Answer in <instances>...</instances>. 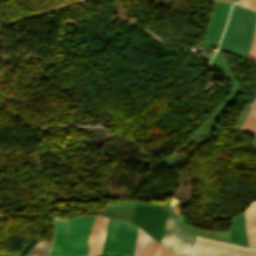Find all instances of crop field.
Listing matches in <instances>:
<instances>
[{
    "label": "crop field",
    "instance_id": "crop-field-1",
    "mask_svg": "<svg viewBox=\"0 0 256 256\" xmlns=\"http://www.w3.org/2000/svg\"><path fill=\"white\" fill-rule=\"evenodd\" d=\"M95 216L55 218L49 256H86Z\"/></svg>",
    "mask_w": 256,
    "mask_h": 256
},
{
    "label": "crop field",
    "instance_id": "crop-field-2",
    "mask_svg": "<svg viewBox=\"0 0 256 256\" xmlns=\"http://www.w3.org/2000/svg\"><path fill=\"white\" fill-rule=\"evenodd\" d=\"M255 23L256 12L234 4L219 49L247 58Z\"/></svg>",
    "mask_w": 256,
    "mask_h": 256
},
{
    "label": "crop field",
    "instance_id": "crop-field-3",
    "mask_svg": "<svg viewBox=\"0 0 256 256\" xmlns=\"http://www.w3.org/2000/svg\"><path fill=\"white\" fill-rule=\"evenodd\" d=\"M138 230L136 225L109 218L100 256H133Z\"/></svg>",
    "mask_w": 256,
    "mask_h": 256
},
{
    "label": "crop field",
    "instance_id": "crop-field-4",
    "mask_svg": "<svg viewBox=\"0 0 256 256\" xmlns=\"http://www.w3.org/2000/svg\"><path fill=\"white\" fill-rule=\"evenodd\" d=\"M191 256H256V247L246 248L196 236Z\"/></svg>",
    "mask_w": 256,
    "mask_h": 256
},
{
    "label": "crop field",
    "instance_id": "crop-field-5",
    "mask_svg": "<svg viewBox=\"0 0 256 256\" xmlns=\"http://www.w3.org/2000/svg\"><path fill=\"white\" fill-rule=\"evenodd\" d=\"M194 237L168 214L160 241L161 244L176 255L190 256Z\"/></svg>",
    "mask_w": 256,
    "mask_h": 256
},
{
    "label": "crop field",
    "instance_id": "crop-field-6",
    "mask_svg": "<svg viewBox=\"0 0 256 256\" xmlns=\"http://www.w3.org/2000/svg\"><path fill=\"white\" fill-rule=\"evenodd\" d=\"M230 3L214 1L212 13L207 27L204 40L219 41L225 22L227 20L230 8Z\"/></svg>",
    "mask_w": 256,
    "mask_h": 256
},
{
    "label": "crop field",
    "instance_id": "crop-field-7",
    "mask_svg": "<svg viewBox=\"0 0 256 256\" xmlns=\"http://www.w3.org/2000/svg\"><path fill=\"white\" fill-rule=\"evenodd\" d=\"M230 236L231 241L247 245L244 213L233 218Z\"/></svg>",
    "mask_w": 256,
    "mask_h": 256
},
{
    "label": "crop field",
    "instance_id": "crop-field-8",
    "mask_svg": "<svg viewBox=\"0 0 256 256\" xmlns=\"http://www.w3.org/2000/svg\"><path fill=\"white\" fill-rule=\"evenodd\" d=\"M155 240L139 230L134 256H152Z\"/></svg>",
    "mask_w": 256,
    "mask_h": 256
},
{
    "label": "crop field",
    "instance_id": "crop-field-9",
    "mask_svg": "<svg viewBox=\"0 0 256 256\" xmlns=\"http://www.w3.org/2000/svg\"><path fill=\"white\" fill-rule=\"evenodd\" d=\"M249 244H256V202L246 210Z\"/></svg>",
    "mask_w": 256,
    "mask_h": 256
},
{
    "label": "crop field",
    "instance_id": "crop-field-10",
    "mask_svg": "<svg viewBox=\"0 0 256 256\" xmlns=\"http://www.w3.org/2000/svg\"><path fill=\"white\" fill-rule=\"evenodd\" d=\"M240 129L256 133V99L251 104V107Z\"/></svg>",
    "mask_w": 256,
    "mask_h": 256
},
{
    "label": "crop field",
    "instance_id": "crop-field-11",
    "mask_svg": "<svg viewBox=\"0 0 256 256\" xmlns=\"http://www.w3.org/2000/svg\"><path fill=\"white\" fill-rule=\"evenodd\" d=\"M51 241H41L37 243L27 255H47Z\"/></svg>",
    "mask_w": 256,
    "mask_h": 256
},
{
    "label": "crop field",
    "instance_id": "crop-field-12",
    "mask_svg": "<svg viewBox=\"0 0 256 256\" xmlns=\"http://www.w3.org/2000/svg\"><path fill=\"white\" fill-rule=\"evenodd\" d=\"M153 256H174L164 247H162L159 243H155Z\"/></svg>",
    "mask_w": 256,
    "mask_h": 256
},
{
    "label": "crop field",
    "instance_id": "crop-field-13",
    "mask_svg": "<svg viewBox=\"0 0 256 256\" xmlns=\"http://www.w3.org/2000/svg\"><path fill=\"white\" fill-rule=\"evenodd\" d=\"M248 59L256 60V27Z\"/></svg>",
    "mask_w": 256,
    "mask_h": 256
},
{
    "label": "crop field",
    "instance_id": "crop-field-14",
    "mask_svg": "<svg viewBox=\"0 0 256 256\" xmlns=\"http://www.w3.org/2000/svg\"><path fill=\"white\" fill-rule=\"evenodd\" d=\"M236 3L256 10V0H240Z\"/></svg>",
    "mask_w": 256,
    "mask_h": 256
},
{
    "label": "crop field",
    "instance_id": "crop-field-15",
    "mask_svg": "<svg viewBox=\"0 0 256 256\" xmlns=\"http://www.w3.org/2000/svg\"><path fill=\"white\" fill-rule=\"evenodd\" d=\"M254 145H255V147H256V139H255V141H254Z\"/></svg>",
    "mask_w": 256,
    "mask_h": 256
},
{
    "label": "crop field",
    "instance_id": "crop-field-16",
    "mask_svg": "<svg viewBox=\"0 0 256 256\" xmlns=\"http://www.w3.org/2000/svg\"><path fill=\"white\" fill-rule=\"evenodd\" d=\"M235 1H237V0H233V2H235Z\"/></svg>",
    "mask_w": 256,
    "mask_h": 256
}]
</instances>
